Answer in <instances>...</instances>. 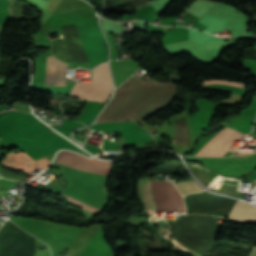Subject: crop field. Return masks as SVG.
Instances as JSON below:
<instances>
[{"instance_id": "3316defc", "label": "crop field", "mask_w": 256, "mask_h": 256, "mask_svg": "<svg viewBox=\"0 0 256 256\" xmlns=\"http://www.w3.org/2000/svg\"><path fill=\"white\" fill-rule=\"evenodd\" d=\"M189 127L176 126L173 143L186 144Z\"/></svg>"}, {"instance_id": "8a807250", "label": "crop field", "mask_w": 256, "mask_h": 256, "mask_svg": "<svg viewBox=\"0 0 256 256\" xmlns=\"http://www.w3.org/2000/svg\"><path fill=\"white\" fill-rule=\"evenodd\" d=\"M57 163L68 184L64 189L47 186L45 189L63 194L71 204L99 213L107 203V193L103 186L112 162L87 158L65 150L56 155L52 164Z\"/></svg>"}, {"instance_id": "5142ce71", "label": "crop field", "mask_w": 256, "mask_h": 256, "mask_svg": "<svg viewBox=\"0 0 256 256\" xmlns=\"http://www.w3.org/2000/svg\"><path fill=\"white\" fill-rule=\"evenodd\" d=\"M250 256H256V248H253L251 253H250Z\"/></svg>"}, {"instance_id": "28ad6ade", "label": "crop field", "mask_w": 256, "mask_h": 256, "mask_svg": "<svg viewBox=\"0 0 256 256\" xmlns=\"http://www.w3.org/2000/svg\"><path fill=\"white\" fill-rule=\"evenodd\" d=\"M182 195H186L192 192L201 191L200 187L195 183L194 180L184 182L176 185Z\"/></svg>"}, {"instance_id": "dd49c442", "label": "crop field", "mask_w": 256, "mask_h": 256, "mask_svg": "<svg viewBox=\"0 0 256 256\" xmlns=\"http://www.w3.org/2000/svg\"><path fill=\"white\" fill-rule=\"evenodd\" d=\"M186 214H210L228 217L236 200L207 192L189 194L184 197Z\"/></svg>"}, {"instance_id": "22f410ed", "label": "crop field", "mask_w": 256, "mask_h": 256, "mask_svg": "<svg viewBox=\"0 0 256 256\" xmlns=\"http://www.w3.org/2000/svg\"><path fill=\"white\" fill-rule=\"evenodd\" d=\"M0 175L4 178H9V179H17V180H21L23 179L24 177H20L16 174H13L11 172H7L5 170H3L2 168H0Z\"/></svg>"}, {"instance_id": "d1516ede", "label": "crop field", "mask_w": 256, "mask_h": 256, "mask_svg": "<svg viewBox=\"0 0 256 256\" xmlns=\"http://www.w3.org/2000/svg\"><path fill=\"white\" fill-rule=\"evenodd\" d=\"M206 83L210 84H218V85H229V86H240L245 87L243 83L235 82V81H229V80H208L204 81Z\"/></svg>"}, {"instance_id": "34b2d1b8", "label": "crop field", "mask_w": 256, "mask_h": 256, "mask_svg": "<svg viewBox=\"0 0 256 256\" xmlns=\"http://www.w3.org/2000/svg\"><path fill=\"white\" fill-rule=\"evenodd\" d=\"M218 219L219 217L182 215L179 219L169 223V233L204 253L214 239L218 226L215 223ZM174 236L173 238L177 241L176 245L192 256H202L207 252L203 254Z\"/></svg>"}, {"instance_id": "d8731c3e", "label": "crop field", "mask_w": 256, "mask_h": 256, "mask_svg": "<svg viewBox=\"0 0 256 256\" xmlns=\"http://www.w3.org/2000/svg\"><path fill=\"white\" fill-rule=\"evenodd\" d=\"M67 64L59 62L52 55L47 56L45 85L65 86Z\"/></svg>"}, {"instance_id": "f4fd0767", "label": "crop field", "mask_w": 256, "mask_h": 256, "mask_svg": "<svg viewBox=\"0 0 256 256\" xmlns=\"http://www.w3.org/2000/svg\"><path fill=\"white\" fill-rule=\"evenodd\" d=\"M112 82L107 63H102L93 70L92 82H77L71 92V97L85 100L105 102L111 92Z\"/></svg>"}, {"instance_id": "412701ff", "label": "crop field", "mask_w": 256, "mask_h": 256, "mask_svg": "<svg viewBox=\"0 0 256 256\" xmlns=\"http://www.w3.org/2000/svg\"><path fill=\"white\" fill-rule=\"evenodd\" d=\"M146 210L185 211L182 197L169 181H148L140 188Z\"/></svg>"}, {"instance_id": "bc2a9ffb", "label": "crop field", "mask_w": 256, "mask_h": 256, "mask_svg": "<svg viewBox=\"0 0 256 256\" xmlns=\"http://www.w3.org/2000/svg\"><path fill=\"white\" fill-rule=\"evenodd\" d=\"M256 181V180H255Z\"/></svg>"}, {"instance_id": "4a817a6b", "label": "crop field", "mask_w": 256, "mask_h": 256, "mask_svg": "<svg viewBox=\"0 0 256 256\" xmlns=\"http://www.w3.org/2000/svg\"><path fill=\"white\" fill-rule=\"evenodd\" d=\"M132 20V19H131Z\"/></svg>"}, {"instance_id": "5a996713", "label": "crop field", "mask_w": 256, "mask_h": 256, "mask_svg": "<svg viewBox=\"0 0 256 256\" xmlns=\"http://www.w3.org/2000/svg\"><path fill=\"white\" fill-rule=\"evenodd\" d=\"M229 219L241 221H256V208L244 203L237 202Z\"/></svg>"}, {"instance_id": "ac0d7876", "label": "crop field", "mask_w": 256, "mask_h": 256, "mask_svg": "<svg viewBox=\"0 0 256 256\" xmlns=\"http://www.w3.org/2000/svg\"><path fill=\"white\" fill-rule=\"evenodd\" d=\"M178 88L173 84L130 77L96 122L131 119L137 123L171 105Z\"/></svg>"}, {"instance_id": "cbeb9de0", "label": "crop field", "mask_w": 256, "mask_h": 256, "mask_svg": "<svg viewBox=\"0 0 256 256\" xmlns=\"http://www.w3.org/2000/svg\"><path fill=\"white\" fill-rule=\"evenodd\" d=\"M158 226H159V228H158L159 234H162V233L166 232V224H164V222L159 224Z\"/></svg>"}, {"instance_id": "733c2abd", "label": "crop field", "mask_w": 256, "mask_h": 256, "mask_svg": "<svg viewBox=\"0 0 256 256\" xmlns=\"http://www.w3.org/2000/svg\"><path fill=\"white\" fill-rule=\"evenodd\" d=\"M0 198H2V196L0 195Z\"/></svg>"}, {"instance_id": "d9b57169", "label": "crop field", "mask_w": 256, "mask_h": 256, "mask_svg": "<svg viewBox=\"0 0 256 256\" xmlns=\"http://www.w3.org/2000/svg\"><path fill=\"white\" fill-rule=\"evenodd\" d=\"M254 132H256V123H255V126H254Z\"/></svg>"}, {"instance_id": "e52e79f7", "label": "crop field", "mask_w": 256, "mask_h": 256, "mask_svg": "<svg viewBox=\"0 0 256 256\" xmlns=\"http://www.w3.org/2000/svg\"><path fill=\"white\" fill-rule=\"evenodd\" d=\"M243 134L232 131L227 127L214 136L196 156H222L226 151L219 149L226 139L238 140Z\"/></svg>"}]
</instances>
